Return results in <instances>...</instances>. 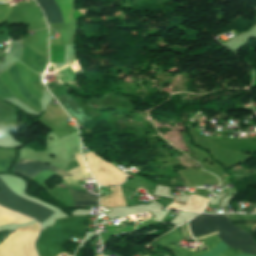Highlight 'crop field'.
Here are the masks:
<instances>
[{
	"instance_id": "crop-field-14",
	"label": "crop field",
	"mask_w": 256,
	"mask_h": 256,
	"mask_svg": "<svg viewBox=\"0 0 256 256\" xmlns=\"http://www.w3.org/2000/svg\"><path fill=\"white\" fill-rule=\"evenodd\" d=\"M7 231H1L0 232V240L3 238V236L6 234Z\"/></svg>"
},
{
	"instance_id": "crop-field-12",
	"label": "crop field",
	"mask_w": 256,
	"mask_h": 256,
	"mask_svg": "<svg viewBox=\"0 0 256 256\" xmlns=\"http://www.w3.org/2000/svg\"><path fill=\"white\" fill-rule=\"evenodd\" d=\"M73 201H98V196L91 195L89 193L81 192V191H74L69 190Z\"/></svg>"
},
{
	"instance_id": "crop-field-3",
	"label": "crop field",
	"mask_w": 256,
	"mask_h": 256,
	"mask_svg": "<svg viewBox=\"0 0 256 256\" xmlns=\"http://www.w3.org/2000/svg\"><path fill=\"white\" fill-rule=\"evenodd\" d=\"M39 224L19 227L0 244V256H37L34 242Z\"/></svg>"
},
{
	"instance_id": "crop-field-6",
	"label": "crop field",
	"mask_w": 256,
	"mask_h": 256,
	"mask_svg": "<svg viewBox=\"0 0 256 256\" xmlns=\"http://www.w3.org/2000/svg\"><path fill=\"white\" fill-rule=\"evenodd\" d=\"M44 169L53 171V172L63 176L64 178L69 176L63 170L57 169L51 165H46L37 160L29 161V160H25V159H21V158H18L16 166L12 170V172L22 175L31 180L33 177H35L39 172L43 171Z\"/></svg>"
},
{
	"instance_id": "crop-field-2",
	"label": "crop field",
	"mask_w": 256,
	"mask_h": 256,
	"mask_svg": "<svg viewBox=\"0 0 256 256\" xmlns=\"http://www.w3.org/2000/svg\"><path fill=\"white\" fill-rule=\"evenodd\" d=\"M86 218L60 219L50 228L43 230L37 242L39 256H57L64 253L62 246L68 243L72 235L82 240L86 235Z\"/></svg>"
},
{
	"instance_id": "crop-field-11",
	"label": "crop field",
	"mask_w": 256,
	"mask_h": 256,
	"mask_svg": "<svg viewBox=\"0 0 256 256\" xmlns=\"http://www.w3.org/2000/svg\"><path fill=\"white\" fill-rule=\"evenodd\" d=\"M29 220L32 219L0 207V225L7 223H24Z\"/></svg>"
},
{
	"instance_id": "crop-field-5",
	"label": "crop field",
	"mask_w": 256,
	"mask_h": 256,
	"mask_svg": "<svg viewBox=\"0 0 256 256\" xmlns=\"http://www.w3.org/2000/svg\"><path fill=\"white\" fill-rule=\"evenodd\" d=\"M0 202H2L3 204H5L11 208H15L20 211L27 212V213L37 217L41 222L43 220H45L48 216H50L53 212V211L43 208L33 202H30L28 200H25V199H22V198L16 196L4 185V183L1 180H0ZM3 204H1V205H3ZM5 205H3V206H5ZM15 211H17V210H15ZM24 212H21V213L26 214ZM29 214H27V215H29ZM31 215H29V216H31ZM33 216H31V217H33ZM35 217H33V218H35Z\"/></svg>"
},
{
	"instance_id": "crop-field-4",
	"label": "crop field",
	"mask_w": 256,
	"mask_h": 256,
	"mask_svg": "<svg viewBox=\"0 0 256 256\" xmlns=\"http://www.w3.org/2000/svg\"><path fill=\"white\" fill-rule=\"evenodd\" d=\"M87 165L98 183L104 186L119 185L125 180V174L115 166L105 162L94 153H85Z\"/></svg>"
},
{
	"instance_id": "crop-field-8",
	"label": "crop field",
	"mask_w": 256,
	"mask_h": 256,
	"mask_svg": "<svg viewBox=\"0 0 256 256\" xmlns=\"http://www.w3.org/2000/svg\"><path fill=\"white\" fill-rule=\"evenodd\" d=\"M44 11L48 24L63 23L61 13L54 0H36Z\"/></svg>"
},
{
	"instance_id": "crop-field-1",
	"label": "crop field",
	"mask_w": 256,
	"mask_h": 256,
	"mask_svg": "<svg viewBox=\"0 0 256 256\" xmlns=\"http://www.w3.org/2000/svg\"><path fill=\"white\" fill-rule=\"evenodd\" d=\"M229 219H239V220H256V214L253 215H243V214H228ZM203 217L206 221L212 220H223L228 219L227 214L222 215H209L204 214ZM202 215L194 218L193 220L189 221V227L192 235L194 237L199 235H205L213 231H217L219 234H216L219 240L229 245L231 248H239L240 250L256 254V244L252 240V238L245 232L247 231L251 236L254 234V226L256 225V221H238V220H230L232 224L236 225L239 228L230 224L229 220L223 221H212L206 222ZM183 234L185 237L186 234L184 232L183 225H181ZM181 227L178 226L174 230L170 231L166 235L157 238L154 242L149 244V246H155L160 243L166 244L171 251H173L176 256H197L205 250H200L198 252H191L189 250H184L177 246H174L175 243L183 238H185L182 234ZM216 235L210 236L208 238L202 239L203 242L202 246H206L207 249L213 247L220 241L216 237ZM219 243L218 245L214 246L213 248L203 252L199 256H213L216 253L222 251L223 249L227 248L228 246L224 243ZM241 251H235L230 248L223 250L222 252L216 254L215 256H239L245 254ZM242 256H256V255H249L245 254Z\"/></svg>"
},
{
	"instance_id": "crop-field-13",
	"label": "crop field",
	"mask_w": 256,
	"mask_h": 256,
	"mask_svg": "<svg viewBox=\"0 0 256 256\" xmlns=\"http://www.w3.org/2000/svg\"><path fill=\"white\" fill-rule=\"evenodd\" d=\"M15 158L0 157V173H6L11 168Z\"/></svg>"
},
{
	"instance_id": "crop-field-7",
	"label": "crop field",
	"mask_w": 256,
	"mask_h": 256,
	"mask_svg": "<svg viewBox=\"0 0 256 256\" xmlns=\"http://www.w3.org/2000/svg\"><path fill=\"white\" fill-rule=\"evenodd\" d=\"M8 72L10 73L11 77L19 87V89L22 91L24 96L31 102L33 103L38 109H40V104L38 100L29 92L16 64L11 66L9 69H7ZM0 97L2 99L5 98H11V94L8 92V90L5 88V86L1 83L0 81Z\"/></svg>"
},
{
	"instance_id": "crop-field-10",
	"label": "crop field",
	"mask_w": 256,
	"mask_h": 256,
	"mask_svg": "<svg viewBox=\"0 0 256 256\" xmlns=\"http://www.w3.org/2000/svg\"><path fill=\"white\" fill-rule=\"evenodd\" d=\"M63 105L73 114V116L80 122H84L86 120H89L87 115L82 111L77 104L73 101L72 98H70L67 95H63L59 97Z\"/></svg>"
},
{
	"instance_id": "crop-field-9",
	"label": "crop field",
	"mask_w": 256,
	"mask_h": 256,
	"mask_svg": "<svg viewBox=\"0 0 256 256\" xmlns=\"http://www.w3.org/2000/svg\"><path fill=\"white\" fill-rule=\"evenodd\" d=\"M109 189L112 191L113 194L105 197H101L100 206H110V207L126 206L120 187H112Z\"/></svg>"
}]
</instances>
